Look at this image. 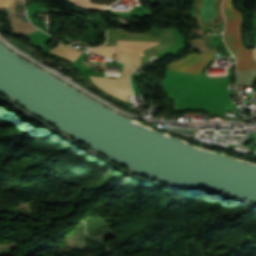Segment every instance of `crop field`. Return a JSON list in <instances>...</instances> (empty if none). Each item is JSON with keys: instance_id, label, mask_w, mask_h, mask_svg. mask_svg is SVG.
<instances>
[{"instance_id": "obj_4", "label": "crop field", "mask_w": 256, "mask_h": 256, "mask_svg": "<svg viewBox=\"0 0 256 256\" xmlns=\"http://www.w3.org/2000/svg\"><path fill=\"white\" fill-rule=\"evenodd\" d=\"M132 70L124 65L122 79H108L93 76H90V78L96 86L128 102L127 96L132 95L128 84L129 74Z\"/></svg>"}, {"instance_id": "obj_1", "label": "crop field", "mask_w": 256, "mask_h": 256, "mask_svg": "<svg viewBox=\"0 0 256 256\" xmlns=\"http://www.w3.org/2000/svg\"><path fill=\"white\" fill-rule=\"evenodd\" d=\"M216 49L201 54H190L186 58L166 65V69L199 74L212 60ZM166 72L163 80L169 98L176 101L174 112L204 109L224 115L234 106L226 86L229 80L200 78L195 74L175 71Z\"/></svg>"}, {"instance_id": "obj_8", "label": "crop field", "mask_w": 256, "mask_h": 256, "mask_svg": "<svg viewBox=\"0 0 256 256\" xmlns=\"http://www.w3.org/2000/svg\"><path fill=\"white\" fill-rule=\"evenodd\" d=\"M254 52V59H256V48L253 49Z\"/></svg>"}, {"instance_id": "obj_3", "label": "crop field", "mask_w": 256, "mask_h": 256, "mask_svg": "<svg viewBox=\"0 0 256 256\" xmlns=\"http://www.w3.org/2000/svg\"><path fill=\"white\" fill-rule=\"evenodd\" d=\"M157 43L146 41H118V47H97L89 51L102 53L111 56L117 53V60L127 63L131 66L137 67L140 65L139 53L149 46H154Z\"/></svg>"}, {"instance_id": "obj_7", "label": "crop field", "mask_w": 256, "mask_h": 256, "mask_svg": "<svg viewBox=\"0 0 256 256\" xmlns=\"http://www.w3.org/2000/svg\"><path fill=\"white\" fill-rule=\"evenodd\" d=\"M14 0H0V9L8 7Z\"/></svg>"}, {"instance_id": "obj_2", "label": "crop field", "mask_w": 256, "mask_h": 256, "mask_svg": "<svg viewBox=\"0 0 256 256\" xmlns=\"http://www.w3.org/2000/svg\"><path fill=\"white\" fill-rule=\"evenodd\" d=\"M223 11L226 17L224 41L238 60L237 69H254L252 51L244 48L240 32L242 14L232 5L231 0H223Z\"/></svg>"}, {"instance_id": "obj_5", "label": "crop field", "mask_w": 256, "mask_h": 256, "mask_svg": "<svg viewBox=\"0 0 256 256\" xmlns=\"http://www.w3.org/2000/svg\"><path fill=\"white\" fill-rule=\"evenodd\" d=\"M222 0H198L197 18L204 25H213L224 22L221 12Z\"/></svg>"}, {"instance_id": "obj_6", "label": "crop field", "mask_w": 256, "mask_h": 256, "mask_svg": "<svg viewBox=\"0 0 256 256\" xmlns=\"http://www.w3.org/2000/svg\"><path fill=\"white\" fill-rule=\"evenodd\" d=\"M50 52L60 55L65 59L71 60L73 62L81 54V52L68 48L60 43L56 47H54Z\"/></svg>"}]
</instances>
